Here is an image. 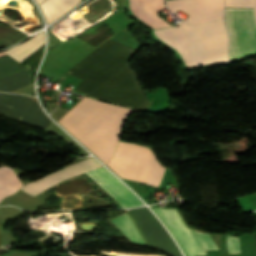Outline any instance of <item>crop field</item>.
Here are the masks:
<instances>
[{"instance_id": "1", "label": "crop field", "mask_w": 256, "mask_h": 256, "mask_svg": "<svg viewBox=\"0 0 256 256\" xmlns=\"http://www.w3.org/2000/svg\"><path fill=\"white\" fill-rule=\"evenodd\" d=\"M136 51L108 40L66 74L82 80L76 91L145 111L150 101L128 61Z\"/></svg>"}, {"instance_id": "2", "label": "crop field", "mask_w": 256, "mask_h": 256, "mask_svg": "<svg viewBox=\"0 0 256 256\" xmlns=\"http://www.w3.org/2000/svg\"><path fill=\"white\" fill-rule=\"evenodd\" d=\"M132 13L154 29L170 26L156 15L165 7L163 0H129ZM154 34L178 51L186 66L228 62V40L223 21L200 26L181 23L179 28L154 30Z\"/></svg>"}, {"instance_id": "3", "label": "crop field", "mask_w": 256, "mask_h": 256, "mask_svg": "<svg viewBox=\"0 0 256 256\" xmlns=\"http://www.w3.org/2000/svg\"><path fill=\"white\" fill-rule=\"evenodd\" d=\"M133 111L83 97L57 122L106 164L115 152L121 122Z\"/></svg>"}, {"instance_id": "4", "label": "crop field", "mask_w": 256, "mask_h": 256, "mask_svg": "<svg viewBox=\"0 0 256 256\" xmlns=\"http://www.w3.org/2000/svg\"><path fill=\"white\" fill-rule=\"evenodd\" d=\"M121 177L159 186L163 168L148 147L120 142L107 164Z\"/></svg>"}, {"instance_id": "5", "label": "crop field", "mask_w": 256, "mask_h": 256, "mask_svg": "<svg viewBox=\"0 0 256 256\" xmlns=\"http://www.w3.org/2000/svg\"><path fill=\"white\" fill-rule=\"evenodd\" d=\"M230 61L256 54V17L253 9L225 8Z\"/></svg>"}, {"instance_id": "6", "label": "crop field", "mask_w": 256, "mask_h": 256, "mask_svg": "<svg viewBox=\"0 0 256 256\" xmlns=\"http://www.w3.org/2000/svg\"><path fill=\"white\" fill-rule=\"evenodd\" d=\"M153 209L172 232L186 256L205 255L206 250L218 249L211 235L186 228L176 209Z\"/></svg>"}, {"instance_id": "7", "label": "crop field", "mask_w": 256, "mask_h": 256, "mask_svg": "<svg viewBox=\"0 0 256 256\" xmlns=\"http://www.w3.org/2000/svg\"><path fill=\"white\" fill-rule=\"evenodd\" d=\"M0 113L46 129L52 122L35 101L9 93H0Z\"/></svg>"}, {"instance_id": "8", "label": "crop field", "mask_w": 256, "mask_h": 256, "mask_svg": "<svg viewBox=\"0 0 256 256\" xmlns=\"http://www.w3.org/2000/svg\"><path fill=\"white\" fill-rule=\"evenodd\" d=\"M168 8L173 12L182 10L190 15L189 24H200L223 19V0H169Z\"/></svg>"}, {"instance_id": "9", "label": "crop field", "mask_w": 256, "mask_h": 256, "mask_svg": "<svg viewBox=\"0 0 256 256\" xmlns=\"http://www.w3.org/2000/svg\"><path fill=\"white\" fill-rule=\"evenodd\" d=\"M87 174L123 207H137L143 205L123 183L103 166L89 171Z\"/></svg>"}, {"instance_id": "10", "label": "crop field", "mask_w": 256, "mask_h": 256, "mask_svg": "<svg viewBox=\"0 0 256 256\" xmlns=\"http://www.w3.org/2000/svg\"><path fill=\"white\" fill-rule=\"evenodd\" d=\"M99 166H101V164L97 162L93 157H91L85 161L68 166L53 174L44 176L34 182L28 183L25 186H23L20 190L34 196L42 192L43 190L51 187L52 185L60 182L63 179L86 172Z\"/></svg>"}, {"instance_id": "11", "label": "crop field", "mask_w": 256, "mask_h": 256, "mask_svg": "<svg viewBox=\"0 0 256 256\" xmlns=\"http://www.w3.org/2000/svg\"><path fill=\"white\" fill-rule=\"evenodd\" d=\"M78 2L80 0H45L39 6L46 18V22L49 24L66 13Z\"/></svg>"}, {"instance_id": "12", "label": "crop field", "mask_w": 256, "mask_h": 256, "mask_svg": "<svg viewBox=\"0 0 256 256\" xmlns=\"http://www.w3.org/2000/svg\"><path fill=\"white\" fill-rule=\"evenodd\" d=\"M44 43L45 33L41 32L32 39L4 52L21 62Z\"/></svg>"}, {"instance_id": "13", "label": "crop field", "mask_w": 256, "mask_h": 256, "mask_svg": "<svg viewBox=\"0 0 256 256\" xmlns=\"http://www.w3.org/2000/svg\"><path fill=\"white\" fill-rule=\"evenodd\" d=\"M22 185L11 168L0 167V200L11 193L16 192Z\"/></svg>"}, {"instance_id": "14", "label": "crop field", "mask_w": 256, "mask_h": 256, "mask_svg": "<svg viewBox=\"0 0 256 256\" xmlns=\"http://www.w3.org/2000/svg\"><path fill=\"white\" fill-rule=\"evenodd\" d=\"M32 83V74L27 70L0 79V91L11 92Z\"/></svg>"}, {"instance_id": "15", "label": "crop field", "mask_w": 256, "mask_h": 256, "mask_svg": "<svg viewBox=\"0 0 256 256\" xmlns=\"http://www.w3.org/2000/svg\"><path fill=\"white\" fill-rule=\"evenodd\" d=\"M112 222L128 237L129 240L140 243L142 245H146L140 234L138 233L134 223L131 221L126 213L115 219H112Z\"/></svg>"}, {"instance_id": "16", "label": "crop field", "mask_w": 256, "mask_h": 256, "mask_svg": "<svg viewBox=\"0 0 256 256\" xmlns=\"http://www.w3.org/2000/svg\"><path fill=\"white\" fill-rule=\"evenodd\" d=\"M5 53L0 52V55H3ZM25 68L22 66L19 62L14 60L9 55L5 54L3 56H0V77L19 71L21 69Z\"/></svg>"}, {"instance_id": "17", "label": "crop field", "mask_w": 256, "mask_h": 256, "mask_svg": "<svg viewBox=\"0 0 256 256\" xmlns=\"http://www.w3.org/2000/svg\"><path fill=\"white\" fill-rule=\"evenodd\" d=\"M225 7L255 8L256 0H225Z\"/></svg>"}, {"instance_id": "18", "label": "crop field", "mask_w": 256, "mask_h": 256, "mask_svg": "<svg viewBox=\"0 0 256 256\" xmlns=\"http://www.w3.org/2000/svg\"><path fill=\"white\" fill-rule=\"evenodd\" d=\"M227 245H228L230 254L240 252L238 237L228 236L227 237Z\"/></svg>"}, {"instance_id": "19", "label": "crop field", "mask_w": 256, "mask_h": 256, "mask_svg": "<svg viewBox=\"0 0 256 256\" xmlns=\"http://www.w3.org/2000/svg\"><path fill=\"white\" fill-rule=\"evenodd\" d=\"M38 4L41 3L43 0H35Z\"/></svg>"}]
</instances>
